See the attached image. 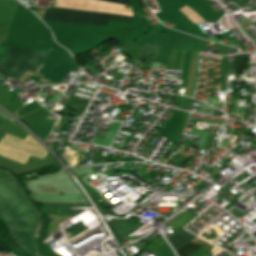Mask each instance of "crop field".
Listing matches in <instances>:
<instances>
[{"label":"crop field","mask_w":256,"mask_h":256,"mask_svg":"<svg viewBox=\"0 0 256 256\" xmlns=\"http://www.w3.org/2000/svg\"><path fill=\"white\" fill-rule=\"evenodd\" d=\"M9 50L10 48L0 47V62ZM51 50L34 51L11 48L0 63V74L13 79L34 51L14 78L20 80L27 71L34 73ZM74 66L68 52L61 47H57L53 49L36 73L48 77L52 83H62Z\"/></svg>","instance_id":"obj_1"},{"label":"crop field","mask_w":256,"mask_h":256,"mask_svg":"<svg viewBox=\"0 0 256 256\" xmlns=\"http://www.w3.org/2000/svg\"><path fill=\"white\" fill-rule=\"evenodd\" d=\"M14 178L7 170H0V180Z\"/></svg>","instance_id":"obj_7"},{"label":"crop field","mask_w":256,"mask_h":256,"mask_svg":"<svg viewBox=\"0 0 256 256\" xmlns=\"http://www.w3.org/2000/svg\"><path fill=\"white\" fill-rule=\"evenodd\" d=\"M104 1H110V2H114V3H119V4H125L128 5V0H104Z\"/></svg>","instance_id":"obj_8"},{"label":"crop field","mask_w":256,"mask_h":256,"mask_svg":"<svg viewBox=\"0 0 256 256\" xmlns=\"http://www.w3.org/2000/svg\"><path fill=\"white\" fill-rule=\"evenodd\" d=\"M0 197L12 203L15 207H17L21 211L27 223L29 234L36 233L38 223L40 221V213L36 210L33 204L27 199L23 189L18 184L16 179L0 181ZM1 198H0V207L14 217L31 254L39 255L35 241H34V236L28 235L26 223L20 211L17 208H15L12 204L2 200ZM1 208H0V215L7 223L9 230H11L13 238L16 240L18 245L26 253L30 254L21 237V234L18 230V227L13 217H11Z\"/></svg>","instance_id":"obj_2"},{"label":"crop field","mask_w":256,"mask_h":256,"mask_svg":"<svg viewBox=\"0 0 256 256\" xmlns=\"http://www.w3.org/2000/svg\"><path fill=\"white\" fill-rule=\"evenodd\" d=\"M195 237L196 236H194V235H192V234H190V233L181 229L177 234L173 235L172 237H170L167 240L169 241V243L172 245V247L176 251L181 246L186 244L189 240H192Z\"/></svg>","instance_id":"obj_4"},{"label":"crop field","mask_w":256,"mask_h":256,"mask_svg":"<svg viewBox=\"0 0 256 256\" xmlns=\"http://www.w3.org/2000/svg\"><path fill=\"white\" fill-rule=\"evenodd\" d=\"M201 246L193 243V242H189L186 245H184L183 247H181L179 250H177V254L178 256H189L191 255L193 252H195L196 250H198Z\"/></svg>","instance_id":"obj_5"},{"label":"crop field","mask_w":256,"mask_h":256,"mask_svg":"<svg viewBox=\"0 0 256 256\" xmlns=\"http://www.w3.org/2000/svg\"><path fill=\"white\" fill-rule=\"evenodd\" d=\"M132 17L49 7L43 20H54L86 25L106 26L108 21L119 20L130 22Z\"/></svg>","instance_id":"obj_3"},{"label":"crop field","mask_w":256,"mask_h":256,"mask_svg":"<svg viewBox=\"0 0 256 256\" xmlns=\"http://www.w3.org/2000/svg\"><path fill=\"white\" fill-rule=\"evenodd\" d=\"M247 66V55H236L235 56V72L234 73H242V67Z\"/></svg>","instance_id":"obj_6"}]
</instances>
